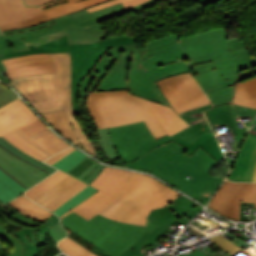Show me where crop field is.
<instances>
[{
  "mask_svg": "<svg viewBox=\"0 0 256 256\" xmlns=\"http://www.w3.org/2000/svg\"><path fill=\"white\" fill-rule=\"evenodd\" d=\"M179 37L173 34L156 38L145 53L139 52L135 44L112 48L84 77L79 97H87L91 91L129 90L130 94L172 107L156 81L190 72V65L230 58L224 27L178 41ZM211 107L177 114L188 121L203 116L202 111Z\"/></svg>",
  "mask_w": 256,
  "mask_h": 256,
  "instance_id": "1",
  "label": "crop field"
},
{
  "mask_svg": "<svg viewBox=\"0 0 256 256\" xmlns=\"http://www.w3.org/2000/svg\"><path fill=\"white\" fill-rule=\"evenodd\" d=\"M210 129L204 120L171 137L155 140L144 121L109 128L114 146L128 168L148 171L204 205L223 181L209 174V168L217 162L201 147L191 157L183 154L188 149L172 140L180 137L192 144Z\"/></svg>",
  "mask_w": 256,
  "mask_h": 256,
  "instance_id": "2",
  "label": "crop field"
},
{
  "mask_svg": "<svg viewBox=\"0 0 256 256\" xmlns=\"http://www.w3.org/2000/svg\"><path fill=\"white\" fill-rule=\"evenodd\" d=\"M198 204L180 195L163 208L153 210L146 227L113 221L99 214L89 221L71 213L61 219L70 238L98 256H146L142 248L152 245L176 221L187 225L186 214Z\"/></svg>",
  "mask_w": 256,
  "mask_h": 256,
  "instance_id": "3",
  "label": "crop field"
},
{
  "mask_svg": "<svg viewBox=\"0 0 256 256\" xmlns=\"http://www.w3.org/2000/svg\"><path fill=\"white\" fill-rule=\"evenodd\" d=\"M89 185L100 191L59 218L74 211L89 220L100 213L145 226L152 209L161 208L180 195L150 176L107 166Z\"/></svg>",
  "mask_w": 256,
  "mask_h": 256,
  "instance_id": "4",
  "label": "crop field"
},
{
  "mask_svg": "<svg viewBox=\"0 0 256 256\" xmlns=\"http://www.w3.org/2000/svg\"><path fill=\"white\" fill-rule=\"evenodd\" d=\"M87 109L102 129L144 120L156 139L188 127L170 107L128 94V91L91 92Z\"/></svg>",
  "mask_w": 256,
  "mask_h": 256,
  "instance_id": "5",
  "label": "crop field"
},
{
  "mask_svg": "<svg viewBox=\"0 0 256 256\" xmlns=\"http://www.w3.org/2000/svg\"><path fill=\"white\" fill-rule=\"evenodd\" d=\"M231 59L191 66L197 81L213 101L214 107L230 103L233 121L238 132L237 146L247 132L239 129L235 118L256 116V109L232 104L235 83L256 75V58L251 57L248 48L229 52ZM248 128L251 122L244 123Z\"/></svg>",
  "mask_w": 256,
  "mask_h": 256,
  "instance_id": "6",
  "label": "crop field"
},
{
  "mask_svg": "<svg viewBox=\"0 0 256 256\" xmlns=\"http://www.w3.org/2000/svg\"><path fill=\"white\" fill-rule=\"evenodd\" d=\"M56 74L36 75L13 79L12 85L41 114L65 110L74 131L87 152L100 160L90 141L85 137L71 106V59L69 53L49 54Z\"/></svg>",
  "mask_w": 256,
  "mask_h": 256,
  "instance_id": "7",
  "label": "crop field"
},
{
  "mask_svg": "<svg viewBox=\"0 0 256 256\" xmlns=\"http://www.w3.org/2000/svg\"><path fill=\"white\" fill-rule=\"evenodd\" d=\"M123 13L126 12L122 3L91 13L83 9L38 26L3 33L15 51L46 43L66 33L69 43H93L106 38L97 22Z\"/></svg>",
  "mask_w": 256,
  "mask_h": 256,
  "instance_id": "8",
  "label": "crop field"
},
{
  "mask_svg": "<svg viewBox=\"0 0 256 256\" xmlns=\"http://www.w3.org/2000/svg\"><path fill=\"white\" fill-rule=\"evenodd\" d=\"M137 37H116L104 39L93 44H68L67 34L47 44L29 46L30 50L0 55V60L32 53L70 52L72 59V106L74 115L81 114L78 108L79 84L84 76L89 75L93 66L112 47L134 43Z\"/></svg>",
  "mask_w": 256,
  "mask_h": 256,
  "instance_id": "9",
  "label": "crop field"
},
{
  "mask_svg": "<svg viewBox=\"0 0 256 256\" xmlns=\"http://www.w3.org/2000/svg\"><path fill=\"white\" fill-rule=\"evenodd\" d=\"M157 83L178 113L211 103L196 83L192 73L166 78Z\"/></svg>",
  "mask_w": 256,
  "mask_h": 256,
  "instance_id": "10",
  "label": "crop field"
},
{
  "mask_svg": "<svg viewBox=\"0 0 256 256\" xmlns=\"http://www.w3.org/2000/svg\"><path fill=\"white\" fill-rule=\"evenodd\" d=\"M241 202L255 203L256 208V184L225 181L208 207L221 215L240 220Z\"/></svg>",
  "mask_w": 256,
  "mask_h": 256,
  "instance_id": "11",
  "label": "crop field"
},
{
  "mask_svg": "<svg viewBox=\"0 0 256 256\" xmlns=\"http://www.w3.org/2000/svg\"><path fill=\"white\" fill-rule=\"evenodd\" d=\"M0 169L27 189L50 174L18 158L1 146Z\"/></svg>",
  "mask_w": 256,
  "mask_h": 256,
  "instance_id": "12",
  "label": "crop field"
},
{
  "mask_svg": "<svg viewBox=\"0 0 256 256\" xmlns=\"http://www.w3.org/2000/svg\"><path fill=\"white\" fill-rule=\"evenodd\" d=\"M6 67V75L10 79L36 74L55 73L48 54H33L29 56L10 58L1 61Z\"/></svg>",
  "mask_w": 256,
  "mask_h": 256,
  "instance_id": "13",
  "label": "crop field"
},
{
  "mask_svg": "<svg viewBox=\"0 0 256 256\" xmlns=\"http://www.w3.org/2000/svg\"><path fill=\"white\" fill-rule=\"evenodd\" d=\"M256 166V135L247 134L237 154L233 169L227 179L252 181Z\"/></svg>",
  "mask_w": 256,
  "mask_h": 256,
  "instance_id": "14",
  "label": "crop field"
},
{
  "mask_svg": "<svg viewBox=\"0 0 256 256\" xmlns=\"http://www.w3.org/2000/svg\"><path fill=\"white\" fill-rule=\"evenodd\" d=\"M87 185L70 176L32 200L53 211Z\"/></svg>",
  "mask_w": 256,
  "mask_h": 256,
  "instance_id": "15",
  "label": "crop field"
},
{
  "mask_svg": "<svg viewBox=\"0 0 256 256\" xmlns=\"http://www.w3.org/2000/svg\"><path fill=\"white\" fill-rule=\"evenodd\" d=\"M0 216L5 220V222L12 227L18 229H27L41 225V223L33 221L26 216L22 215L10 205H3L0 202ZM0 236L8 240L14 247L10 256H22L24 252L23 243L18 240L15 236L11 235L0 223Z\"/></svg>",
  "mask_w": 256,
  "mask_h": 256,
  "instance_id": "16",
  "label": "crop field"
},
{
  "mask_svg": "<svg viewBox=\"0 0 256 256\" xmlns=\"http://www.w3.org/2000/svg\"><path fill=\"white\" fill-rule=\"evenodd\" d=\"M13 132L48 157L67 147H71L54 135L48 128L30 136L19 129Z\"/></svg>",
  "mask_w": 256,
  "mask_h": 256,
  "instance_id": "17",
  "label": "crop field"
},
{
  "mask_svg": "<svg viewBox=\"0 0 256 256\" xmlns=\"http://www.w3.org/2000/svg\"><path fill=\"white\" fill-rule=\"evenodd\" d=\"M59 222L56 215H52L41 226L27 230H17L13 235L17 236L25 244L24 256H39L37 245L46 244L47 229Z\"/></svg>",
  "mask_w": 256,
  "mask_h": 256,
  "instance_id": "18",
  "label": "crop field"
},
{
  "mask_svg": "<svg viewBox=\"0 0 256 256\" xmlns=\"http://www.w3.org/2000/svg\"><path fill=\"white\" fill-rule=\"evenodd\" d=\"M37 119L39 118L23 103L0 116V135Z\"/></svg>",
  "mask_w": 256,
  "mask_h": 256,
  "instance_id": "19",
  "label": "crop field"
},
{
  "mask_svg": "<svg viewBox=\"0 0 256 256\" xmlns=\"http://www.w3.org/2000/svg\"><path fill=\"white\" fill-rule=\"evenodd\" d=\"M42 13L39 7H26L23 0H0V23L26 19Z\"/></svg>",
  "mask_w": 256,
  "mask_h": 256,
  "instance_id": "20",
  "label": "crop field"
},
{
  "mask_svg": "<svg viewBox=\"0 0 256 256\" xmlns=\"http://www.w3.org/2000/svg\"><path fill=\"white\" fill-rule=\"evenodd\" d=\"M108 0H60L45 4L40 8L51 19L69 14L82 8H87Z\"/></svg>",
  "mask_w": 256,
  "mask_h": 256,
  "instance_id": "21",
  "label": "crop field"
},
{
  "mask_svg": "<svg viewBox=\"0 0 256 256\" xmlns=\"http://www.w3.org/2000/svg\"><path fill=\"white\" fill-rule=\"evenodd\" d=\"M174 141L187 147L189 150L185 153L188 155H191L195 150H197L201 146L217 162L225 158L212 130L203 134L192 145L180 138Z\"/></svg>",
  "mask_w": 256,
  "mask_h": 256,
  "instance_id": "22",
  "label": "crop field"
},
{
  "mask_svg": "<svg viewBox=\"0 0 256 256\" xmlns=\"http://www.w3.org/2000/svg\"><path fill=\"white\" fill-rule=\"evenodd\" d=\"M205 114H206L212 128L218 127V126H223V125L227 126V128L230 130V132L232 134L231 136L234 140V142H232L231 144L234 148V151H237V147H236L237 132L235 129V125L232 121L229 104L220 106V107H216V108H212L208 111H205Z\"/></svg>",
  "mask_w": 256,
  "mask_h": 256,
  "instance_id": "23",
  "label": "crop field"
},
{
  "mask_svg": "<svg viewBox=\"0 0 256 256\" xmlns=\"http://www.w3.org/2000/svg\"><path fill=\"white\" fill-rule=\"evenodd\" d=\"M10 204L16 210L26 215L27 217L43 223L53 213L45 210L44 208L36 205L25 196L21 195L15 200L11 201Z\"/></svg>",
  "mask_w": 256,
  "mask_h": 256,
  "instance_id": "24",
  "label": "crop field"
},
{
  "mask_svg": "<svg viewBox=\"0 0 256 256\" xmlns=\"http://www.w3.org/2000/svg\"><path fill=\"white\" fill-rule=\"evenodd\" d=\"M50 123L55 129H57L63 136L71 140L74 144L84 149L73 131L70 120L65 111H57L45 115H41ZM85 150V149H84Z\"/></svg>",
  "mask_w": 256,
  "mask_h": 256,
  "instance_id": "25",
  "label": "crop field"
},
{
  "mask_svg": "<svg viewBox=\"0 0 256 256\" xmlns=\"http://www.w3.org/2000/svg\"><path fill=\"white\" fill-rule=\"evenodd\" d=\"M104 167V165H100L86 156L66 173L89 184L99 175Z\"/></svg>",
  "mask_w": 256,
  "mask_h": 256,
  "instance_id": "26",
  "label": "crop field"
},
{
  "mask_svg": "<svg viewBox=\"0 0 256 256\" xmlns=\"http://www.w3.org/2000/svg\"><path fill=\"white\" fill-rule=\"evenodd\" d=\"M233 103L256 108V76L237 83Z\"/></svg>",
  "mask_w": 256,
  "mask_h": 256,
  "instance_id": "27",
  "label": "crop field"
},
{
  "mask_svg": "<svg viewBox=\"0 0 256 256\" xmlns=\"http://www.w3.org/2000/svg\"><path fill=\"white\" fill-rule=\"evenodd\" d=\"M23 186L0 170V201L5 204L25 191Z\"/></svg>",
  "mask_w": 256,
  "mask_h": 256,
  "instance_id": "28",
  "label": "crop field"
},
{
  "mask_svg": "<svg viewBox=\"0 0 256 256\" xmlns=\"http://www.w3.org/2000/svg\"><path fill=\"white\" fill-rule=\"evenodd\" d=\"M68 176H69L68 174L59 170L53 175H51L50 177H48L47 179H45L44 181L33 186L24 194L32 199L38 194L42 193L46 189L50 188L51 186L55 185L56 183L60 182L61 180L65 179Z\"/></svg>",
  "mask_w": 256,
  "mask_h": 256,
  "instance_id": "29",
  "label": "crop field"
},
{
  "mask_svg": "<svg viewBox=\"0 0 256 256\" xmlns=\"http://www.w3.org/2000/svg\"><path fill=\"white\" fill-rule=\"evenodd\" d=\"M96 191L98 190L88 185L84 190L77 193L75 196H73L71 199H69L67 202H65L63 205H61L59 208H57L53 212L56 213L57 216L59 217L66 211L70 210L72 207L86 200L89 196H91Z\"/></svg>",
  "mask_w": 256,
  "mask_h": 256,
  "instance_id": "30",
  "label": "crop field"
},
{
  "mask_svg": "<svg viewBox=\"0 0 256 256\" xmlns=\"http://www.w3.org/2000/svg\"><path fill=\"white\" fill-rule=\"evenodd\" d=\"M0 145L3 146L5 149L9 150L10 152L14 153L15 155H17L18 157H20V158L42 168L50 173L56 171L55 168L50 167V166L46 165L45 163L40 162V161L28 156L27 154L22 152L20 149H18L14 145H12L10 142L5 140L2 136L0 137Z\"/></svg>",
  "mask_w": 256,
  "mask_h": 256,
  "instance_id": "31",
  "label": "crop field"
},
{
  "mask_svg": "<svg viewBox=\"0 0 256 256\" xmlns=\"http://www.w3.org/2000/svg\"><path fill=\"white\" fill-rule=\"evenodd\" d=\"M4 138H6L8 141L13 143L15 146L20 148L22 151L25 153L29 154L30 156L42 161L46 159L47 157L43 155L41 152L30 146L28 143L17 137L15 134L12 132H9L5 135H3Z\"/></svg>",
  "mask_w": 256,
  "mask_h": 256,
  "instance_id": "32",
  "label": "crop field"
},
{
  "mask_svg": "<svg viewBox=\"0 0 256 256\" xmlns=\"http://www.w3.org/2000/svg\"><path fill=\"white\" fill-rule=\"evenodd\" d=\"M49 19H50L49 17L43 14V15L35 16L30 19H26V20L0 24V29L1 31H5V30L25 28V27L41 24Z\"/></svg>",
  "mask_w": 256,
  "mask_h": 256,
  "instance_id": "33",
  "label": "crop field"
},
{
  "mask_svg": "<svg viewBox=\"0 0 256 256\" xmlns=\"http://www.w3.org/2000/svg\"><path fill=\"white\" fill-rule=\"evenodd\" d=\"M85 156V154L76 149L52 166L66 172Z\"/></svg>",
  "mask_w": 256,
  "mask_h": 256,
  "instance_id": "34",
  "label": "crop field"
},
{
  "mask_svg": "<svg viewBox=\"0 0 256 256\" xmlns=\"http://www.w3.org/2000/svg\"><path fill=\"white\" fill-rule=\"evenodd\" d=\"M98 133H99V138H100L102 148L104 152L107 154V156L109 158H119L112 146L107 128L98 130Z\"/></svg>",
  "mask_w": 256,
  "mask_h": 256,
  "instance_id": "35",
  "label": "crop field"
},
{
  "mask_svg": "<svg viewBox=\"0 0 256 256\" xmlns=\"http://www.w3.org/2000/svg\"><path fill=\"white\" fill-rule=\"evenodd\" d=\"M211 239L213 242H215L218 246L226 250L229 254L233 256H238L239 253L242 251L241 248L237 247L236 245L232 244L228 239L218 235Z\"/></svg>",
  "mask_w": 256,
  "mask_h": 256,
  "instance_id": "36",
  "label": "crop field"
},
{
  "mask_svg": "<svg viewBox=\"0 0 256 256\" xmlns=\"http://www.w3.org/2000/svg\"><path fill=\"white\" fill-rule=\"evenodd\" d=\"M145 1H147V0H111V1L99 4V5L87 8V10H88V12H90V11L102 9V8H105V7H108V6H111V5H115V4H118V3H121V2H123L124 6L126 8V7L136 6V5L141 4Z\"/></svg>",
  "mask_w": 256,
  "mask_h": 256,
  "instance_id": "37",
  "label": "crop field"
},
{
  "mask_svg": "<svg viewBox=\"0 0 256 256\" xmlns=\"http://www.w3.org/2000/svg\"><path fill=\"white\" fill-rule=\"evenodd\" d=\"M17 98V95L8 87L0 83V107Z\"/></svg>",
  "mask_w": 256,
  "mask_h": 256,
  "instance_id": "38",
  "label": "crop field"
},
{
  "mask_svg": "<svg viewBox=\"0 0 256 256\" xmlns=\"http://www.w3.org/2000/svg\"><path fill=\"white\" fill-rule=\"evenodd\" d=\"M66 245H68L73 250L77 251L78 253L82 254L83 256H97L94 253L87 250L85 247L79 245L74 240L70 239L69 237H66L64 240H62Z\"/></svg>",
  "mask_w": 256,
  "mask_h": 256,
  "instance_id": "39",
  "label": "crop field"
},
{
  "mask_svg": "<svg viewBox=\"0 0 256 256\" xmlns=\"http://www.w3.org/2000/svg\"><path fill=\"white\" fill-rule=\"evenodd\" d=\"M47 231L51 234L52 239L55 243H57L58 241H60L61 239L65 238L68 235V232L61 227L60 222Z\"/></svg>",
  "mask_w": 256,
  "mask_h": 256,
  "instance_id": "40",
  "label": "crop field"
},
{
  "mask_svg": "<svg viewBox=\"0 0 256 256\" xmlns=\"http://www.w3.org/2000/svg\"><path fill=\"white\" fill-rule=\"evenodd\" d=\"M44 128H46V126L40 120H37V121H34L32 123H29V124L19 128V129L24 131L26 134L30 135V134L37 132L39 130H42Z\"/></svg>",
  "mask_w": 256,
  "mask_h": 256,
  "instance_id": "41",
  "label": "crop field"
},
{
  "mask_svg": "<svg viewBox=\"0 0 256 256\" xmlns=\"http://www.w3.org/2000/svg\"><path fill=\"white\" fill-rule=\"evenodd\" d=\"M14 52L11 45L7 42L3 35H0V54ZM0 70L5 73V67L0 62Z\"/></svg>",
  "mask_w": 256,
  "mask_h": 256,
  "instance_id": "42",
  "label": "crop field"
},
{
  "mask_svg": "<svg viewBox=\"0 0 256 256\" xmlns=\"http://www.w3.org/2000/svg\"><path fill=\"white\" fill-rule=\"evenodd\" d=\"M244 47H245V45H244L243 41H239L238 38L228 39L229 51L244 48Z\"/></svg>",
  "mask_w": 256,
  "mask_h": 256,
  "instance_id": "43",
  "label": "crop field"
},
{
  "mask_svg": "<svg viewBox=\"0 0 256 256\" xmlns=\"http://www.w3.org/2000/svg\"><path fill=\"white\" fill-rule=\"evenodd\" d=\"M75 148H69L61 153H58L52 157H50L48 160H46L45 162L52 165L55 162H57L58 160H60L61 158H63L65 155H67L68 153H70L71 151H73Z\"/></svg>",
  "mask_w": 256,
  "mask_h": 256,
  "instance_id": "44",
  "label": "crop field"
},
{
  "mask_svg": "<svg viewBox=\"0 0 256 256\" xmlns=\"http://www.w3.org/2000/svg\"><path fill=\"white\" fill-rule=\"evenodd\" d=\"M157 0H149L141 5H138L136 7H132V8H127L125 9L126 12H133V11H139L141 9L147 8L149 6H151L152 4H154Z\"/></svg>",
  "mask_w": 256,
  "mask_h": 256,
  "instance_id": "45",
  "label": "crop field"
},
{
  "mask_svg": "<svg viewBox=\"0 0 256 256\" xmlns=\"http://www.w3.org/2000/svg\"><path fill=\"white\" fill-rule=\"evenodd\" d=\"M58 247H60V249L62 251H64L65 254L68 256H82V255L78 254L77 252L73 251L72 249H70L68 246H66L61 241L58 243Z\"/></svg>",
  "mask_w": 256,
  "mask_h": 256,
  "instance_id": "46",
  "label": "crop field"
},
{
  "mask_svg": "<svg viewBox=\"0 0 256 256\" xmlns=\"http://www.w3.org/2000/svg\"><path fill=\"white\" fill-rule=\"evenodd\" d=\"M21 103H23V102L18 98L16 100L12 101L11 103L3 106L2 108H0V115L3 114L4 112H6L7 110L21 104Z\"/></svg>",
  "mask_w": 256,
  "mask_h": 256,
  "instance_id": "47",
  "label": "crop field"
},
{
  "mask_svg": "<svg viewBox=\"0 0 256 256\" xmlns=\"http://www.w3.org/2000/svg\"><path fill=\"white\" fill-rule=\"evenodd\" d=\"M25 5H30V6H40L44 3L55 1V0H24Z\"/></svg>",
  "mask_w": 256,
  "mask_h": 256,
  "instance_id": "48",
  "label": "crop field"
},
{
  "mask_svg": "<svg viewBox=\"0 0 256 256\" xmlns=\"http://www.w3.org/2000/svg\"><path fill=\"white\" fill-rule=\"evenodd\" d=\"M202 210L201 206H197L195 208H193L190 212H188L186 215L192 219L197 213H199Z\"/></svg>",
  "mask_w": 256,
  "mask_h": 256,
  "instance_id": "49",
  "label": "crop field"
},
{
  "mask_svg": "<svg viewBox=\"0 0 256 256\" xmlns=\"http://www.w3.org/2000/svg\"><path fill=\"white\" fill-rule=\"evenodd\" d=\"M226 235H228L229 237H231L232 239L236 240L237 242H239L240 244H242L243 246H248L249 244H247L246 242L240 240L239 238L231 235L229 232L225 233Z\"/></svg>",
  "mask_w": 256,
  "mask_h": 256,
  "instance_id": "50",
  "label": "crop field"
},
{
  "mask_svg": "<svg viewBox=\"0 0 256 256\" xmlns=\"http://www.w3.org/2000/svg\"><path fill=\"white\" fill-rule=\"evenodd\" d=\"M182 256H205V255L203 253H201L200 251H197V252L189 253V254L182 255Z\"/></svg>",
  "mask_w": 256,
  "mask_h": 256,
  "instance_id": "51",
  "label": "crop field"
},
{
  "mask_svg": "<svg viewBox=\"0 0 256 256\" xmlns=\"http://www.w3.org/2000/svg\"><path fill=\"white\" fill-rule=\"evenodd\" d=\"M0 79H2V80H4V81H6V82H8V83H10L11 81L8 79V77L7 76H5V75H3L1 72H0ZM7 83V84H8Z\"/></svg>",
  "mask_w": 256,
  "mask_h": 256,
  "instance_id": "52",
  "label": "crop field"
},
{
  "mask_svg": "<svg viewBox=\"0 0 256 256\" xmlns=\"http://www.w3.org/2000/svg\"><path fill=\"white\" fill-rule=\"evenodd\" d=\"M199 1L206 5V4H208L209 2H211L213 0H199Z\"/></svg>",
  "mask_w": 256,
  "mask_h": 256,
  "instance_id": "53",
  "label": "crop field"
},
{
  "mask_svg": "<svg viewBox=\"0 0 256 256\" xmlns=\"http://www.w3.org/2000/svg\"><path fill=\"white\" fill-rule=\"evenodd\" d=\"M171 2H173V3H175L176 5L178 4V3H180V2H182V1H184V0H170ZM174 4V5H175Z\"/></svg>",
  "mask_w": 256,
  "mask_h": 256,
  "instance_id": "54",
  "label": "crop field"
},
{
  "mask_svg": "<svg viewBox=\"0 0 256 256\" xmlns=\"http://www.w3.org/2000/svg\"><path fill=\"white\" fill-rule=\"evenodd\" d=\"M250 133L256 134V126L249 130Z\"/></svg>",
  "mask_w": 256,
  "mask_h": 256,
  "instance_id": "55",
  "label": "crop field"
},
{
  "mask_svg": "<svg viewBox=\"0 0 256 256\" xmlns=\"http://www.w3.org/2000/svg\"><path fill=\"white\" fill-rule=\"evenodd\" d=\"M253 181H256V169H255V172H254Z\"/></svg>",
  "mask_w": 256,
  "mask_h": 256,
  "instance_id": "56",
  "label": "crop field"
},
{
  "mask_svg": "<svg viewBox=\"0 0 256 256\" xmlns=\"http://www.w3.org/2000/svg\"><path fill=\"white\" fill-rule=\"evenodd\" d=\"M255 124H256V119H255V121H254L253 125H255ZM253 125H252V126H253Z\"/></svg>",
  "mask_w": 256,
  "mask_h": 256,
  "instance_id": "57",
  "label": "crop field"
}]
</instances>
